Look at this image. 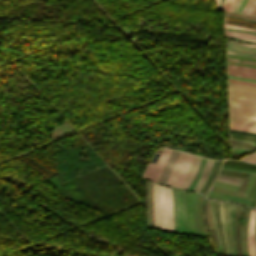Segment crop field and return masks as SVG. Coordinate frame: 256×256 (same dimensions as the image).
Segmentation results:
<instances>
[{"mask_svg":"<svg viewBox=\"0 0 256 256\" xmlns=\"http://www.w3.org/2000/svg\"><path fill=\"white\" fill-rule=\"evenodd\" d=\"M229 122L256 127V87L228 82Z\"/></svg>","mask_w":256,"mask_h":256,"instance_id":"obj_1","label":"crop field"},{"mask_svg":"<svg viewBox=\"0 0 256 256\" xmlns=\"http://www.w3.org/2000/svg\"><path fill=\"white\" fill-rule=\"evenodd\" d=\"M200 160V157L180 152L166 184L187 189L197 171Z\"/></svg>","mask_w":256,"mask_h":256,"instance_id":"obj_2","label":"crop field"},{"mask_svg":"<svg viewBox=\"0 0 256 256\" xmlns=\"http://www.w3.org/2000/svg\"><path fill=\"white\" fill-rule=\"evenodd\" d=\"M160 229L173 232L171 188L159 185Z\"/></svg>","mask_w":256,"mask_h":256,"instance_id":"obj_3","label":"crop field"},{"mask_svg":"<svg viewBox=\"0 0 256 256\" xmlns=\"http://www.w3.org/2000/svg\"><path fill=\"white\" fill-rule=\"evenodd\" d=\"M176 194H177V189H176ZM178 206H179L180 233H187L184 191L179 189H178ZM178 206H177V215H178ZM175 208H176V195H175ZM177 215H176V223H177ZM178 230H179V225H178Z\"/></svg>","mask_w":256,"mask_h":256,"instance_id":"obj_4","label":"crop field"},{"mask_svg":"<svg viewBox=\"0 0 256 256\" xmlns=\"http://www.w3.org/2000/svg\"><path fill=\"white\" fill-rule=\"evenodd\" d=\"M169 151L170 150H168V149L164 150V153H163L158 165L148 164L143 176L148 178L149 180L156 182L159 177V174L163 168V165L165 163V160L168 156Z\"/></svg>","mask_w":256,"mask_h":256,"instance_id":"obj_5","label":"crop field"},{"mask_svg":"<svg viewBox=\"0 0 256 256\" xmlns=\"http://www.w3.org/2000/svg\"><path fill=\"white\" fill-rule=\"evenodd\" d=\"M178 153L179 152H177V151H172V150L170 151L169 156L164 165V168L162 170V173L157 182L163 183V184L166 183Z\"/></svg>","mask_w":256,"mask_h":256,"instance_id":"obj_6","label":"crop field"},{"mask_svg":"<svg viewBox=\"0 0 256 256\" xmlns=\"http://www.w3.org/2000/svg\"><path fill=\"white\" fill-rule=\"evenodd\" d=\"M185 200L187 208V228L188 233L194 234V215L192 205V193L185 191Z\"/></svg>","mask_w":256,"mask_h":256,"instance_id":"obj_7","label":"crop field"},{"mask_svg":"<svg viewBox=\"0 0 256 256\" xmlns=\"http://www.w3.org/2000/svg\"><path fill=\"white\" fill-rule=\"evenodd\" d=\"M213 160H206V163H205V166L203 168V171H202V174H201V177L198 181V183L196 184L195 188H194V191H198L200 192L202 186L204 185L208 175H209V172L212 168V165H213Z\"/></svg>","mask_w":256,"mask_h":256,"instance_id":"obj_8","label":"crop field"},{"mask_svg":"<svg viewBox=\"0 0 256 256\" xmlns=\"http://www.w3.org/2000/svg\"><path fill=\"white\" fill-rule=\"evenodd\" d=\"M219 174L244 179L239 191L244 192V193L246 192V188H247V185H248V182H249V179H250L251 175L236 173V172H230V171H224V170H221Z\"/></svg>","mask_w":256,"mask_h":256,"instance_id":"obj_9","label":"crop field"},{"mask_svg":"<svg viewBox=\"0 0 256 256\" xmlns=\"http://www.w3.org/2000/svg\"><path fill=\"white\" fill-rule=\"evenodd\" d=\"M227 47L242 50V51L256 52V45H245L232 40L228 41Z\"/></svg>","mask_w":256,"mask_h":256,"instance_id":"obj_10","label":"crop field"},{"mask_svg":"<svg viewBox=\"0 0 256 256\" xmlns=\"http://www.w3.org/2000/svg\"><path fill=\"white\" fill-rule=\"evenodd\" d=\"M154 192V219L155 227L159 228V213H158V185L153 183Z\"/></svg>","mask_w":256,"mask_h":256,"instance_id":"obj_11","label":"crop field"},{"mask_svg":"<svg viewBox=\"0 0 256 256\" xmlns=\"http://www.w3.org/2000/svg\"><path fill=\"white\" fill-rule=\"evenodd\" d=\"M241 13L256 16V0H248Z\"/></svg>","mask_w":256,"mask_h":256,"instance_id":"obj_12","label":"crop field"},{"mask_svg":"<svg viewBox=\"0 0 256 256\" xmlns=\"http://www.w3.org/2000/svg\"><path fill=\"white\" fill-rule=\"evenodd\" d=\"M230 138L256 142V137L230 132Z\"/></svg>","mask_w":256,"mask_h":256,"instance_id":"obj_13","label":"crop field"},{"mask_svg":"<svg viewBox=\"0 0 256 256\" xmlns=\"http://www.w3.org/2000/svg\"><path fill=\"white\" fill-rule=\"evenodd\" d=\"M211 190L221 192V193L230 194V195H234V196H238V197H242V198H246V197H244L245 194H243V193L230 191V190H226V189H222V188H218V187H214V186L211 188ZM248 199H251V198H248Z\"/></svg>","mask_w":256,"mask_h":256,"instance_id":"obj_14","label":"crop field"},{"mask_svg":"<svg viewBox=\"0 0 256 256\" xmlns=\"http://www.w3.org/2000/svg\"><path fill=\"white\" fill-rule=\"evenodd\" d=\"M206 215L209 229L215 228L210 210V200H206Z\"/></svg>","mask_w":256,"mask_h":256,"instance_id":"obj_15","label":"crop field"},{"mask_svg":"<svg viewBox=\"0 0 256 256\" xmlns=\"http://www.w3.org/2000/svg\"><path fill=\"white\" fill-rule=\"evenodd\" d=\"M220 162H221V161H217V162H216V165H215V167H214V170H213V172H212V174H211V176H210V179H209V181H208V183H207V185H206V187H205L203 193H206L207 189L209 188V186L211 185L212 181L214 180V178H215V176H216V174H217V172H218V170H219Z\"/></svg>","mask_w":256,"mask_h":256,"instance_id":"obj_16","label":"crop field"},{"mask_svg":"<svg viewBox=\"0 0 256 256\" xmlns=\"http://www.w3.org/2000/svg\"><path fill=\"white\" fill-rule=\"evenodd\" d=\"M217 180L232 183V184H237V185H240V183L242 182L241 179H236V178H231V177H226L221 175L218 176Z\"/></svg>","mask_w":256,"mask_h":256,"instance_id":"obj_17","label":"crop field"},{"mask_svg":"<svg viewBox=\"0 0 256 256\" xmlns=\"http://www.w3.org/2000/svg\"><path fill=\"white\" fill-rule=\"evenodd\" d=\"M227 53L256 58V53L242 52V51H236V50H230V49H227Z\"/></svg>","mask_w":256,"mask_h":256,"instance_id":"obj_18","label":"crop field"},{"mask_svg":"<svg viewBox=\"0 0 256 256\" xmlns=\"http://www.w3.org/2000/svg\"><path fill=\"white\" fill-rule=\"evenodd\" d=\"M229 125H230V128H233V129L256 132L255 127H249V126H243V125H237V124H231V123H229Z\"/></svg>","mask_w":256,"mask_h":256,"instance_id":"obj_19","label":"crop field"},{"mask_svg":"<svg viewBox=\"0 0 256 256\" xmlns=\"http://www.w3.org/2000/svg\"><path fill=\"white\" fill-rule=\"evenodd\" d=\"M226 207H227V203L223 202V218H224L225 226H227ZM230 209H231V203H230ZM228 215H229V203H228V208H227V219H228ZM229 222H231L230 216H229Z\"/></svg>","mask_w":256,"mask_h":256,"instance_id":"obj_20","label":"crop field"},{"mask_svg":"<svg viewBox=\"0 0 256 256\" xmlns=\"http://www.w3.org/2000/svg\"><path fill=\"white\" fill-rule=\"evenodd\" d=\"M224 161L243 163V162H238V161H233V160H224ZM223 163H227V162H223ZM237 163H228V164H237ZM244 164H247V163H244ZM244 164H238V165H244ZM223 165H225V166H233V167H240V168H248V169H256V168H251V167L256 166V165H253L251 167H245V166H248V165H245V166L227 165V164H223ZM249 165H252V164H249Z\"/></svg>","mask_w":256,"mask_h":256,"instance_id":"obj_21","label":"crop field"},{"mask_svg":"<svg viewBox=\"0 0 256 256\" xmlns=\"http://www.w3.org/2000/svg\"><path fill=\"white\" fill-rule=\"evenodd\" d=\"M227 68L256 72V69H253V68H247V67H241V66H235V65H229V64H227Z\"/></svg>","mask_w":256,"mask_h":256,"instance_id":"obj_22","label":"crop field"},{"mask_svg":"<svg viewBox=\"0 0 256 256\" xmlns=\"http://www.w3.org/2000/svg\"><path fill=\"white\" fill-rule=\"evenodd\" d=\"M240 160L249 161V162H255L256 163V152L255 153H251V154L247 155L246 157H244V158H242Z\"/></svg>","mask_w":256,"mask_h":256,"instance_id":"obj_23","label":"crop field"},{"mask_svg":"<svg viewBox=\"0 0 256 256\" xmlns=\"http://www.w3.org/2000/svg\"><path fill=\"white\" fill-rule=\"evenodd\" d=\"M149 183L147 181V192H148V216H149V227H151V224H150V192H149Z\"/></svg>","mask_w":256,"mask_h":256,"instance_id":"obj_24","label":"crop field"},{"mask_svg":"<svg viewBox=\"0 0 256 256\" xmlns=\"http://www.w3.org/2000/svg\"><path fill=\"white\" fill-rule=\"evenodd\" d=\"M224 26L256 32L255 29H251V28H247V27L234 26V25H227V24H224Z\"/></svg>","mask_w":256,"mask_h":256,"instance_id":"obj_25","label":"crop field"},{"mask_svg":"<svg viewBox=\"0 0 256 256\" xmlns=\"http://www.w3.org/2000/svg\"><path fill=\"white\" fill-rule=\"evenodd\" d=\"M227 60L236 61V62H242V63L255 64V65H256V62L246 61V60H240V59H235V58H229V57H227Z\"/></svg>","mask_w":256,"mask_h":256,"instance_id":"obj_26","label":"crop field"},{"mask_svg":"<svg viewBox=\"0 0 256 256\" xmlns=\"http://www.w3.org/2000/svg\"><path fill=\"white\" fill-rule=\"evenodd\" d=\"M234 209H235V204L232 203V218H234ZM233 226H234V219H233ZM232 234H233V227H232ZM234 238H235V232H234ZM234 238H233V243H234ZM235 249H236V240H235ZM235 253V250H234ZM236 256H237V251H236Z\"/></svg>","mask_w":256,"mask_h":256,"instance_id":"obj_27","label":"crop field"},{"mask_svg":"<svg viewBox=\"0 0 256 256\" xmlns=\"http://www.w3.org/2000/svg\"><path fill=\"white\" fill-rule=\"evenodd\" d=\"M227 77L235 78V79H240V80H245V81H250V82H255L256 83L255 79L242 78V77H236V76H230V75H227Z\"/></svg>","mask_w":256,"mask_h":256,"instance_id":"obj_28","label":"crop field"},{"mask_svg":"<svg viewBox=\"0 0 256 256\" xmlns=\"http://www.w3.org/2000/svg\"><path fill=\"white\" fill-rule=\"evenodd\" d=\"M172 200H173V218H174V222H175L174 189L173 188H172ZM174 232H176L175 223H174Z\"/></svg>","mask_w":256,"mask_h":256,"instance_id":"obj_29","label":"crop field"},{"mask_svg":"<svg viewBox=\"0 0 256 256\" xmlns=\"http://www.w3.org/2000/svg\"><path fill=\"white\" fill-rule=\"evenodd\" d=\"M255 185H256V175H255V177H254V181H253V185H252V188H251V192H250V196L249 197H252L253 196V192H254V189H255ZM255 191H256V189H255ZM254 195H255V193H254ZM254 197V196H253ZM253 200V199H252ZM252 202V201H251ZM250 205H251V203H250ZM249 205V206H250Z\"/></svg>","mask_w":256,"mask_h":256,"instance_id":"obj_30","label":"crop field"},{"mask_svg":"<svg viewBox=\"0 0 256 256\" xmlns=\"http://www.w3.org/2000/svg\"><path fill=\"white\" fill-rule=\"evenodd\" d=\"M225 33H227V34H232V35H237V36H243V37H248V38L256 39V37H255V36L243 35V34H238V33H233V32H227V31H225Z\"/></svg>","mask_w":256,"mask_h":256,"instance_id":"obj_31","label":"crop field"},{"mask_svg":"<svg viewBox=\"0 0 256 256\" xmlns=\"http://www.w3.org/2000/svg\"><path fill=\"white\" fill-rule=\"evenodd\" d=\"M220 208H221V221H222L223 234H224V224H223V218H222V202H220ZM224 238H225V234H224ZM225 243H226V239H225ZM226 251H227V245H226ZM227 256H228V253H227Z\"/></svg>","mask_w":256,"mask_h":256,"instance_id":"obj_32","label":"crop field"},{"mask_svg":"<svg viewBox=\"0 0 256 256\" xmlns=\"http://www.w3.org/2000/svg\"><path fill=\"white\" fill-rule=\"evenodd\" d=\"M229 130L232 131V132H238V133H243V134H248V135L256 136V133L245 132V131H238V130H232V129H229Z\"/></svg>","mask_w":256,"mask_h":256,"instance_id":"obj_33","label":"crop field"},{"mask_svg":"<svg viewBox=\"0 0 256 256\" xmlns=\"http://www.w3.org/2000/svg\"><path fill=\"white\" fill-rule=\"evenodd\" d=\"M227 71H230V72H236V73H243V74H250V75H256V73L243 72V71L230 70V69H227Z\"/></svg>","mask_w":256,"mask_h":256,"instance_id":"obj_34","label":"crop field"},{"mask_svg":"<svg viewBox=\"0 0 256 256\" xmlns=\"http://www.w3.org/2000/svg\"><path fill=\"white\" fill-rule=\"evenodd\" d=\"M211 209H212V214H213V218H214V222H215V217H214V213H213L212 201H211ZM215 226H216V222H215ZM216 230H217V227H216ZM217 235H218V240H219V246H220V248H221L218 230H217Z\"/></svg>","mask_w":256,"mask_h":256,"instance_id":"obj_35","label":"crop field"},{"mask_svg":"<svg viewBox=\"0 0 256 256\" xmlns=\"http://www.w3.org/2000/svg\"><path fill=\"white\" fill-rule=\"evenodd\" d=\"M228 15H234V16H239V17H244V18H249V19H253L256 20V18H252V17H248V16H244V15H237V14H233V13H226Z\"/></svg>","mask_w":256,"mask_h":256,"instance_id":"obj_36","label":"crop field"},{"mask_svg":"<svg viewBox=\"0 0 256 256\" xmlns=\"http://www.w3.org/2000/svg\"><path fill=\"white\" fill-rule=\"evenodd\" d=\"M247 0H243L241 5L239 6L238 10L236 13H240L241 9L243 8L244 4L246 3Z\"/></svg>","mask_w":256,"mask_h":256,"instance_id":"obj_37","label":"crop field"},{"mask_svg":"<svg viewBox=\"0 0 256 256\" xmlns=\"http://www.w3.org/2000/svg\"><path fill=\"white\" fill-rule=\"evenodd\" d=\"M241 1H242V0H238L237 4L235 5V7H234V9H233V11H232L233 13L236 12V10H237L238 6L240 5Z\"/></svg>","mask_w":256,"mask_h":256,"instance_id":"obj_38","label":"crop field"},{"mask_svg":"<svg viewBox=\"0 0 256 256\" xmlns=\"http://www.w3.org/2000/svg\"><path fill=\"white\" fill-rule=\"evenodd\" d=\"M228 1H229V0H225V1H224V3H223V5H222V7H221L220 10H224V8H225L226 4L228 3Z\"/></svg>","mask_w":256,"mask_h":256,"instance_id":"obj_39","label":"crop field"},{"mask_svg":"<svg viewBox=\"0 0 256 256\" xmlns=\"http://www.w3.org/2000/svg\"><path fill=\"white\" fill-rule=\"evenodd\" d=\"M225 167V166H222ZM225 168H232V169H239V170H247V169H240V168H233V167H225ZM247 171H255V170H247ZM256 172V171H255Z\"/></svg>","mask_w":256,"mask_h":256,"instance_id":"obj_40","label":"crop field"},{"mask_svg":"<svg viewBox=\"0 0 256 256\" xmlns=\"http://www.w3.org/2000/svg\"><path fill=\"white\" fill-rule=\"evenodd\" d=\"M230 81V80H228ZM230 82H236V81H230ZM236 83H241V82H236ZM242 84H247V83H242ZM247 85H253V84H247ZM253 86H256V85H253Z\"/></svg>","mask_w":256,"mask_h":256,"instance_id":"obj_41","label":"crop field"},{"mask_svg":"<svg viewBox=\"0 0 256 256\" xmlns=\"http://www.w3.org/2000/svg\"><path fill=\"white\" fill-rule=\"evenodd\" d=\"M223 1H224V0H220L219 6H218V8H217V9H220V7H221V5H222Z\"/></svg>","mask_w":256,"mask_h":256,"instance_id":"obj_42","label":"crop field"},{"mask_svg":"<svg viewBox=\"0 0 256 256\" xmlns=\"http://www.w3.org/2000/svg\"><path fill=\"white\" fill-rule=\"evenodd\" d=\"M227 35V34H225ZM227 36H232V35H227ZM232 37H237V36H232ZM238 38H241V37H238ZM243 39H246V38H243ZM248 40H251V39H248ZM253 41H256V40H253Z\"/></svg>","mask_w":256,"mask_h":256,"instance_id":"obj_43","label":"crop field"},{"mask_svg":"<svg viewBox=\"0 0 256 256\" xmlns=\"http://www.w3.org/2000/svg\"><path fill=\"white\" fill-rule=\"evenodd\" d=\"M231 2H232V0L229 1L228 5H227V7H226V9H225V11H227V9H228V7H229V5H230Z\"/></svg>","mask_w":256,"mask_h":256,"instance_id":"obj_44","label":"crop field"},{"mask_svg":"<svg viewBox=\"0 0 256 256\" xmlns=\"http://www.w3.org/2000/svg\"><path fill=\"white\" fill-rule=\"evenodd\" d=\"M253 207H256V198H255V201L253 203Z\"/></svg>","mask_w":256,"mask_h":256,"instance_id":"obj_45","label":"crop field"},{"mask_svg":"<svg viewBox=\"0 0 256 256\" xmlns=\"http://www.w3.org/2000/svg\"><path fill=\"white\" fill-rule=\"evenodd\" d=\"M227 74H229V73H227ZM230 75H235V74H230ZM236 76H240V75H236ZM243 77H246V76H243ZM249 78H252V77H249ZM256 79V78H255Z\"/></svg>","mask_w":256,"mask_h":256,"instance_id":"obj_46","label":"crop field"},{"mask_svg":"<svg viewBox=\"0 0 256 256\" xmlns=\"http://www.w3.org/2000/svg\"><path fill=\"white\" fill-rule=\"evenodd\" d=\"M228 79H230V78H228ZM230 80H235V79H230ZM236 81H240V80H236ZM242 82H244V81H242ZM247 83H249V82H247ZM254 84V83H253Z\"/></svg>","mask_w":256,"mask_h":256,"instance_id":"obj_47","label":"crop field"},{"mask_svg":"<svg viewBox=\"0 0 256 256\" xmlns=\"http://www.w3.org/2000/svg\"><path fill=\"white\" fill-rule=\"evenodd\" d=\"M230 73V72H229ZM236 74V73H235ZM240 75H243V74H240ZM246 76H250V75H246ZM252 77H256V76H252Z\"/></svg>","mask_w":256,"mask_h":256,"instance_id":"obj_48","label":"crop field"},{"mask_svg":"<svg viewBox=\"0 0 256 256\" xmlns=\"http://www.w3.org/2000/svg\"><path fill=\"white\" fill-rule=\"evenodd\" d=\"M217 4L219 3V0H216Z\"/></svg>","mask_w":256,"mask_h":256,"instance_id":"obj_49","label":"crop field"},{"mask_svg":"<svg viewBox=\"0 0 256 256\" xmlns=\"http://www.w3.org/2000/svg\"><path fill=\"white\" fill-rule=\"evenodd\" d=\"M255 198V197H254ZM254 201V200H253Z\"/></svg>","mask_w":256,"mask_h":256,"instance_id":"obj_50","label":"crop field"}]
</instances>
